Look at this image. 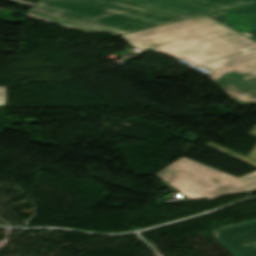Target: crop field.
Instances as JSON below:
<instances>
[{
  "label": "crop field",
  "instance_id": "8",
  "mask_svg": "<svg viewBox=\"0 0 256 256\" xmlns=\"http://www.w3.org/2000/svg\"><path fill=\"white\" fill-rule=\"evenodd\" d=\"M0 105H6L5 88H0Z\"/></svg>",
  "mask_w": 256,
  "mask_h": 256
},
{
  "label": "crop field",
  "instance_id": "9",
  "mask_svg": "<svg viewBox=\"0 0 256 256\" xmlns=\"http://www.w3.org/2000/svg\"><path fill=\"white\" fill-rule=\"evenodd\" d=\"M12 1H16V2L23 3V4H27V5L34 6V4H35L38 0H12Z\"/></svg>",
  "mask_w": 256,
  "mask_h": 256
},
{
  "label": "crop field",
  "instance_id": "4",
  "mask_svg": "<svg viewBox=\"0 0 256 256\" xmlns=\"http://www.w3.org/2000/svg\"><path fill=\"white\" fill-rule=\"evenodd\" d=\"M237 104H256V51L204 65Z\"/></svg>",
  "mask_w": 256,
  "mask_h": 256
},
{
  "label": "crop field",
  "instance_id": "1",
  "mask_svg": "<svg viewBox=\"0 0 256 256\" xmlns=\"http://www.w3.org/2000/svg\"><path fill=\"white\" fill-rule=\"evenodd\" d=\"M256 0H41L27 16L112 36L175 22Z\"/></svg>",
  "mask_w": 256,
  "mask_h": 256
},
{
  "label": "crop field",
  "instance_id": "3",
  "mask_svg": "<svg viewBox=\"0 0 256 256\" xmlns=\"http://www.w3.org/2000/svg\"><path fill=\"white\" fill-rule=\"evenodd\" d=\"M205 146L256 168V161L230 151L213 142ZM162 180L183 193L190 200L256 190V171L238 179L210 167L182 158L157 174Z\"/></svg>",
  "mask_w": 256,
  "mask_h": 256
},
{
  "label": "crop field",
  "instance_id": "5",
  "mask_svg": "<svg viewBox=\"0 0 256 256\" xmlns=\"http://www.w3.org/2000/svg\"><path fill=\"white\" fill-rule=\"evenodd\" d=\"M213 230L216 240L233 256H256V220Z\"/></svg>",
  "mask_w": 256,
  "mask_h": 256
},
{
  "label": "crop field",
  "instance_id": "7",
  "mask_svg": "<svg viewBox=\"0 0 256 256\" xmlns=\"http://www.w3.org/2000/svg\"><path fill=\"white\" fill-rule=\"evenodd\" d=\"M252 136H256V125L254 129L252 130L251 134ZM247 157L252 158L256 160V146L252 149V151L247 155Z\"/></svg>",
  "mask_w": 256,
  "mask_h": 256
},
{
  "label": "crop field",
  "instance_id": "6",
  "mask_svg": "<svg viewBox=\"0 0 256 256\" xmlns=\"http://www.w3.org/2000/svg\"><path fill=\"white\" fill-rule=\"evenodd\" d=\"M237 32L256 38V4L207 15Z\"/></svg>",
  "mask_w": 256,
  "mask_h": 256
},
{
  "label": "crop field",
  "instance_id": "10",
  "mask_svg": "<svg viewBox=\"0 0 256 256\" xmlns=\"http://www.w3.org/2000/svg\"><path fill=\"white\" fill-rule=\"evenodd\" d=\"M254 41H256V40H254Z\"/></svg>",
  "mask_w": 256,
  "mask_h": 256
},
{
  "label": "crop field",
  "instance_id": "2",
  "mask_svg": "<svg viewBox=\"0 0 256 256\" xmlns=\"http://www.w3.org/2000/svg\"><path fill=\"white\" fill-rule=\"evenodd\" d=\"M136 49L186 57L198 64L256 49V43L223 24L199 17L122 35Z\"/></svg>",
  "mask_w": 256,
  "mask_h": 256
}]
</instances>
